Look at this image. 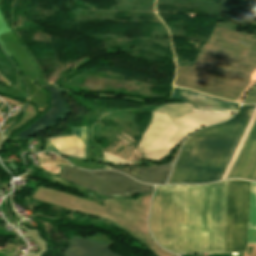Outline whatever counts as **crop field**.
<instances>
[{
  "instance_id": "8a807250",
  "label": "crop field",
  "mask_w": 256,
  "mask_h": 256,
  "mask_svg": "<svg viewBox=\"0 0 256 256\" xmlns=\"http://www.w3.org/2000/svg\"><path fill=\"white\" fill-rule=\"evenodd\" d=\"M227 188L228 181L158 186L149 220L154 239L174 253L223 252Z\"/></svg>"
},
{
  "instance_id": "ac0d7876",
  "label": "crop field",
  "mask_w": 256,
  "mask_h": 256,
  "mask_svg": "<svg viewBox=\"0 0 256 256\" xmlns=\"http://www.w3.org/2000/svg\"><path fill=\"white\" fill-rule=\"evenodd\" d=\"M253 105H243L230 120L188 137L168 184L216 181Z\"/></svg>"
},
{
  "instance_id": "34b2d1b8",
  "label": "crop field",
  "mask_w": 256,
  "mask_h": 256,
  "mask_svg": "<svg viewBox=\"0 0 256 256\" xmlns=\"http://www.w3.org/2000/svg\"><path fill=\"white\" fill-rule=\"evenodd\" d=\"M182 104L226 110L193 103ZM186 105L164 104L154 108L152 121L138 148V151L145 153V159L155 162L164 159L192 131L228 119L232 112H236Z\"/></svg>"
},
{
  "instance_id": "412701ff",
  "label": "crop field",
  "mask_w": 256,
  "mask_h": 256,
  "mask_svg": "<svg viewBox=\"0 0 256 256\" xmlns=\"http://www.w3.org/2000/svg\"><path fill=\"white\" fill-rule=\"evenodd\" d=\"M60 177L105 197L129 196L137 192L148 193L152 192L154 187L143 185L114 171L85 172L64 167Z\"/></svg>"
},
{
  "instance_id": "f4fd0767",
  "label": "crop field",
  "mask_w": 256,
  "mask_h": 256,
  "mask_svg": "<svg viewBox=\"0 0 256 256\" xmlns=\"http://www.w3.org/2000/svg\"><path fill=\"white\" fill-rule=\"evenodd\" d=\"M250 182L229 181L224 252L246 251Z\"/></svg>"
},
{
  "instance_id": "dd49c442",
  "label": "crop field",
  "mask_w": 256,
  "mask_h": 256,
  "mask_svg": "<svg viewBox=\"0 0 256 256\" xmlns=\"http://www.w3.org/2000/svg\"><path fill=\"white\" fill-rule=\"evenodd\" d=\"M255 113H256V105L253 106V108H252V110H251V112L248 116V119H247V121H246V123H245V125L242 129V132H241V134H240V136H239V138H238V140L235 144V147H234V149H233L229 158H234L235 157V155H236V153H237V151H238V149H239V147L242 143V140H243L250 124H251V121H252ZM255 121H256V115H255V117L252 121V124H251V126H250V128H249V130H248V132H247V134H246V136L243 140V143H242V145H241V147H240V149H239L235 158H237L238 156L241 155V153L244 149V146H245V144L248 140V137L251 133V130H252L254 124H255ZM241 156L256 157V124L253 128V131H252V133L249 137V140H248V142L245 146V149H244ZM235 160L236 159H229L228 160V162H227L219 180L228 179ZM255 175H256V158L239 157L229 178H245V179L253 180ZM254 180H256V177H255Z\"/></svg>"
},
{
  "instance_id": "e52e79f7",
  "label": "crop field",
  "mask_w": 256,
  "mask_h": 256,
  "mask_svg": "<svg viewBox=\"0 0 256 256\" xmlns=\"http://www.w3.org/2000/svg\"><path fill=\"white\" fill-rule=\"evenodd\" d=\"M51 93V108L41 116L37 121L30 125L26 130L20 132L12 138V140H24L38 132L54 127L60 120L69 113L65 101L63 99L62 90L43 86Z\"/></svg>"
},
{
  "instance_id": "d8731c3e",
  "label": "crop field",
  "mask_w": 256,
  "mask_h": 256,
  "mask_svg": "<svg viewBox=\"0 0 256 256\" xmlns=\"http://www.w3.org/2000/svg\"><path fill=\"white\" fill-rule=\"evenodd\" d=\"M73 132H74V134L69 135V136H73L80 143H82L84 145V152H83V145L80 144L73 137H60V138L52 137L55 139L49 138L51 140L48 141V146H50L55 151L61 153L62 155H66V156L82 158V152H83V159H86V129L85 128H73ZM56 137H59V136H56ZM47 140H46V150L45 151H53L51 148H49L47 146Z\"/></svg>"
},
{
  "instance_id": "5a996713",
  "label": "crop field",
  "mask_w": 256,
  "mask_h": 256,
  "mask_svg": "<svg viewBox=\"0 0 256 256\" xmlns=\"http://www.w3.org/2000/svg\"><path fill=\"white\" fill-rule=\"evenodd\" d=\"M174 159L170 163L163 166H151V167H139V168H116V167L110 166V168L122 171L132 176L133 178L143 181L145 183L165 184L167 182Z\"/></svg>"
},
{
  "instance_id": "3316defc",
  "label": "crop field",
  "mask_w": 256,
  "mask_h": 256,
  "mask_svg": "<svg viewBox=\"0 0 256 256\" xmlns=\"http://www.w3.org/2000/svg\"><path fill=\"white\" fill-rule=\"evenodd\" d=\"M79 238V237H76ZM73 238L71 241L68 250L66 252V256H121L115 253L110 252L107 248L109 247L108 245H111L109 243H104V242H99V243H104V244H99V243H94L90 241H85V240H80Z\"/></svg>"
},
{
  "instance_id": "28ad6ade",
  "label": "crop field",
  "mask_w": 256,
  "mask_h": 256,
  "mask_svg": "<svg viewBox=\"0 0 256 256\" xmlns=\"http://www.w3.org/2000/svg\"><path fill=\"white\" fill-rule=\"evenodd\" d=\"M172 98L182 100V101H187V102L201 103V104H206L210 106L226 108V109H238L239 107V104L234 102L210 97L207 95H203L200 93H196L190 90L180 89V88L174 89Z\"/></svg>"
},
{
  "instance_id": "d1516ede",
  "label": "crop field",
  "mask_w": 256,
  "mask_h": 256,
  "mask_svg": "<svg viewBox=\"0 0 256 256\" xmlns=\"http://www.w3.org/2000/svg\"><path fill=\"white\" fill-rule=\"evenodd\" d=\"M248 243L256 244V183L251 182Z\"/></svg>"
},
{
  "instance_id": "22f410ed",
  "label": "crop field",
  "mask_w": 256,
  "mask_h": 256,
  "mask_svg": "<svg viewBox=\"0 0 256 256\" xmlns=\"http://www.w3.org/2000/svg\"><path fill=\"white\" fill-rule=\"evenodd\" d=\"M104 158H105V162L116 164V165H133V164H137L136 162L124 161L122 159H119V158H117L115 156H112V155L106 154V153H104Z\"/></svg>"
},
{
  "instance_id": "cbeb9de0",
  "label": "crop field",
  "mask_w": 256,
  "mask_h": 256,
  "mask_svg": "<svg viewBox=\"0 0 256 256\" xmlns=\"http://www.w3.org/2000/svg\"><path fill=\"white\" fill-rule=\"evenodd\" d=\"M244 103H256V85L253 87L251 92L245 98Z\"/></svg>"
},
{
  "instance_id": "5142ce71",
  "label": "crop field",
  "mask_w": 256,
  "mask_h": 256,
  "mask_svg": "<svg viewBox=\"0 0 256 256\" xmlns=\"http://www.w3.org/2000/svg\"><path fill=\"white\" fill-rule=\"evenodd\" d=\"M0 82L5 83L6 81L0 76Z\"/></svg>"
}]
</instances>
